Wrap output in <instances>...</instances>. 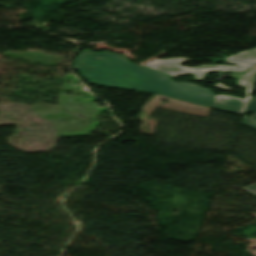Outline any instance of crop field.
Here are the masks:
<instances>
[{
    "label": "crop field",
    "instance_id": "8a807250",
    "mask_svg": "<svg viewBox=\"0 0 256 256\" xmlns=\"http://www.w3.org/2000/svg\"><path fill=\"white\" fill-rule=\"evenodd\" d=\"M73 68L90 83L160 93L212 106L215 92L195 84L175 83L156 71L135 66L115 53L82 52Z\"/></svg>",
    "mask_w": 256,
    "mask_h": 256
},
{
    "label": "crop field",
    "instance_id": "ac0d7876",
    "mask_svg": "<svg viewBox=\"0 0 256 256\" xmlns=\"http://www.w3.org/2000/svg\"><path fill=\"white\" fill-rule=\"evenodd\" d=\"M228 78H236L237 87H243L247 88V96L246 100L231 97V96H220L217 95L214 103H213V108L233 112L236 114L243 115L244 111L249 103L253 87L256 82V69L251 68V70L246 74V75H241V74H228Z\"/></svg>",
    "mask_w": 256,
    "mask_h": 256
},
{
    "label": "crop field",
    "instance_id": "34b2d1b8",
    "mask_svg": "<svg viewBox=\"0 0 256 256\" xmlns=\"http://www.w3.org/2000/svg\"><path fill=\"white\" fill-rule=\"evenodd\" d=\"M190 59L174 58L168 60H156L146 66L158 70L160 72L169 74L171 76L186 75L188 73L195 74L196 80H202L207 72H220L222 66L203 65L198 68H187L180 66L181 63Z\"/></svg>",
    "mask_w": 256,
    "mask_h": 256
},
{
    "label": "crop field",
    "instance_id": "412701ff",
    "mask_svg": "<svg viewBox=\"0 0 256 256\" xmlns=\"http://www.w3.org/2000/svg\"><path fill=\"white\" fill-rule=\"evenodd\" d=\"M227 59L238 64L253 66L256 64V49L239 53Z\"/></svg>",
    "mask_w": 256,
    "mask_h": 256
},
{
    "label": "crop field",
    "instance_id": "f4fd0767",
    "mask_svg": "<svg viewBox=\"0 0 256 256\" xmlns=\"http://www.w3.org/2000/svg\"><path fill=\"white\" fill-rule=\"evenodd\" d=\"M249 70L248 67H244V66H236V67H229V66H225L222 72H235V73H245Z\"/></svg>",
    "mask_w": 256,
    "mask_h": 256
},
{
    "label": "crop field",
    "instance_id": "dd49c442",
    "mask_svg": "<svg viewBox=\"0 0 256 256\" xmlns=\"http://www.w3.org/2000/svg\"><path fill=\"white\" fill-rule=\"evenodd\" d=\"M246 112H254V113H256V97H252L251 98L249 106H248ZM253 118L256 119V114H255V116Z\"/></svg>",
    "mask_w": 256,
    "mask_h": 256
},
{
    "label": "crop field",
    "instance_id": "e52e79f7",
    "mask_svg": "<svg viewBox=\"0 0 256 256\" xmlns=\"http://www.w3.org/2000/svg\"><path fill=\"white\" fill-rule=\"evenodd\" d=\"M242 123L256 130V121L255 120L244 116Z\"/></svg>",
    "mask_w": 256,
    "mask_h": 256
},
{
    "label": "crop field",
    "instance_id": "d8731c3e",
    "mask_svg": "<svg viewBox=\"0 0 256 256\" xmlns=\"http://www.w3.org/2000/svg\"><path fill=\"white\" fill-rule=\"evenodd\" d=\"M244 190H246V191H248V192H250V193H252L253 195L256 196V185L247 187V188H245Z\"/></svg>",
    "mask_w": 256,
    "mask_h": 256
},
{
    "label": "crop field",
    "instance_id": "5a996713",
    "mask_svg": "<svg viewBox=\"0 0 256 256\" xmlns=\"http://www.w3.org/2000/svg\"><path fill=\"white\" fill-rule=\"evenodd\" d=\"M254 67H256V66H254Z\"/></svg>",
    "mask_w": 256,
    "mask_h": 256
}]
</instances>
